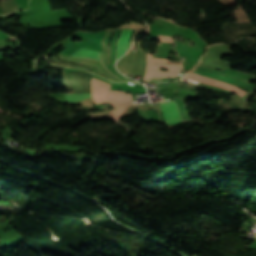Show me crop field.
Wrapping results in <instances>:
<instances>
[{"label":"crop field","mask_w":256,"mask_h":256,"mask_svg":"<svg viewBox=\"0 0 256 256\" xmlns=\"http://www.w3.org/2000/svg\"><path fill=\"white\" fill-rule=\"evenodd\" d=\"M153 56L147 54V68L144 75V80L156 77H178L182 66H174L169 64H152ZM158 67H166L169 71H161Z\"/></svg>","instance_id":"8a807250"},{"label":"crop field","mask_w":256,"mask_h":256,"mask_svg":"<svg viewBox=\"0 0 256 256\" xmlns=\"http://www.w3.org/2000/svg\"><path fill=\"white\" fill-rule=\"evenodd\" d=\"M134 30L132 29H123L119 41L117 43V54L116 59L120 57L128 48L130 37ZM116 61V60H115Z\"/></svg>","instance_id":"f4fd0767"},{"label":"crop field","mask_w":256,"mask_h":256,"mask_svg":"<svg viewBox=\"0 0 256 256\" xmlns=\"http://www.w3.org/2000/svg\"><path fill=\"white\" fill-rule=\"evenodd\" d=\"M91 94H66L67 102H78L83 99L91 98Z\"/></svg>","instance_id":"d8731c3e"},{"label":"crop field","mask_w":256,"mask_h":256,"mask_svg":"<svg viewBox=\"0 0 256 256\" xmlns=\"http://www.w3.org/2000/svg\"><path fill=\"white\" fill-rule=\"evenodd\" d=\"M173 98L178 105L183 122L185 123V122L191 121L192 119L190 118V116L188 114L187 107H186L183 99L177 98V97H173Z\"/></svg>","instance_id":"e52e79f7"},{"label":"crop field","mask_w":256,"mask_h":256,"mask_svg":"<svg viewBox=\"0 0 256 256\" xmlns=\"http://www.w3.org/2000/svg\"><path fill=\"white\" fill-rule=\"evenodd\" d=\"M109 88L110 84H107L94 78L92 79L91 94L93 96L95 103H106V101L109 102L107 97H105L106 101L104 98V96H108Z\"/></svg>","instance_id":"ac0d7876"},{"label":"crop field","mask_w":256,"mask_h":256,"mask_svg":"<svg viewBox=\"0 0 256 256\" xmlns=\"http://www.w3.org/2000/svg\"><path fill=\"white\" fill-rule=\"evenodd\" d=\"M100 53L99 51L87 49L80 47L78 50H76L71 56H77V57H89L100 60Z\"/></svg>","instance_id":"dd49c442"},{"label":"crop field","mask_w":256,"mask_h":256,"mask_svg":"<svg viewBox=\"0 0 256 256\" xmlns=\"http://www.w3.org/2000/svg\"><path fill=\"white\" fill-rule=\"evenodd\" d=\"M158 41H160V42L174 43L173 40L171 39V37L162 36V35H159Z\"/></svg>","instance_id":"3316defc"},{"label":"crop field","mask_w":256,"mask_h":256,"mask_svg":"<svg viewBox=\"0 0 256 256\" xmlns=\"http://www.w3.org/2000/svg\"><path fill=\"white\" fill-rule=\"evenodd\" d=\"M154 63H171L167 59L154 58ZM181 63V62H178Z\"/></svg>","instance_id":"28ad6ade"},{"label":"crop field","mask_w":256,"mask_h":256,"mask_svg":"<svg viewBox=\"0 0 256 256\" xmlns=\"http://www.w3.org/2000/svg\"><path fill=\"white\" fill-rule=\"evenodd\" d=\"M161 109L167 125L182 122L179 111L174 101L161 103Z\"/></svg>","instance_id":"34b2d1b8"},{"label":"crop field","mask_w":256,"mask_h":256,"mask_svg":"<svg viewBox=\"0 0 256 256\" xmlns=\"http://www.w3.org/2000/svg\"><path fill=\"white\" fill-rule=\"evenodd\" d=\"M109 98L111 101V105L115 107L124 106V105L130 104L133 101L132 94L124 95V92H117V91H110Z\"/></svg>","instance_id":"412701ff"},{"label":"crop field","mask_w":256,"mask_h":256,"mask_svg":"<svg viewBox=\"0 0 256 256\" xmlns=\"http://www.w3.org/2000/svg\"><path fill=\"white\" fill-rule=\"evenodd\" d=\"M125 109H126V107H125V108H119V109L113 110V111H112V112H113V118H112V120L117 121L118 118L120 117L121 112H123Z\"/></svg>","instance_id":"5a996713"}]
</instances>
